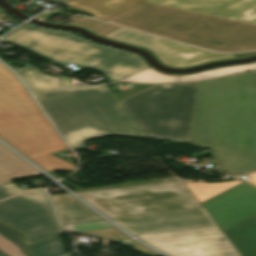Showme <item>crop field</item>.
<instances>
[{
    "instance_id": "crop-field-32",
    "label": "crop field",
    "mask_w": 256,
    "mask_h": 256,
    "mask_svg": "<svg viewBox=\"0 0 256 256\" xmlns=\"http://www.w3.org/2000/svg\"><path fill=\"white\" fill-rule=\"evenodd\" d=\"M0 12H2V11H0Z\"/></svg>"
},
{
    "instance_id": "crop-field-14",
    "label": "crop field",
    "mask_w": 256,
    "mask_h": 256,
    "mask_svg": "<svg viewBox=\"0 0 256 256\" xmlns=\"http://www.w3.org/2000/svg\"><path fill=\"white\" fill-rule=\"evenodd\" d=\"M42 175L28 163L0 144V184L26 176Z\"/></svg>"
},
{
    "instance_id": "crop-field-15",
    "label": "crop field",
    "mask_w": 256,
    "mask_h": 256,
    "mask_svg": "<svg viewBox=\"0 0 256 256\" xmlns=\"http://www.w3.org/2000/svg\"><path fill=\"white\" fill-rule=\"evenodd\" d=\"M224 233L242 256H256V221L253 217Z\"/></svg>"
},
{
    "instance_id": "crop-field-19",
    "label": "crop field",
    "mask_w": 256,
    "mask_h": 256,
    "mask_svg": "<svg viewBox=\"0 0 256 256\" xmlns=\"http://www.w3.org/2000/svg\"><path fill=\"white\" fill-rule=\"evenodd\" d=\"M199 202H203L243 181H230V182H218V183H194L189 181H184ZM185 184V185H186Z\"/></svg>"
},
{
    "instance_id": "crop-field-18",
    "label": "crop field",
    "mask_w": 256,
    "mask_h": 256,
    "mask_svg": "<svg viewBox=\"0 0 256 256\" xmlns=\"http://www.w3.org/2000/svg\"><path fill=\"white\" fill-rule=\"evenodd\" d=\"M16 72L22 77L25 84L33 94L41 93L48 89L60 87L56 77L41 74L37 68L27 65Z\"/></svg>"
},
{
    "instance_id": "crop-field-10",
    "label": "crop field",
    "mask_w": 256,
    "mask_h": 256,
    "mask_svg": "<svg viewBox=\"0 0 256 256\" xmlns=\"http://www.w3.org/2000/svg\"><path fill=\"white\" fill-rule=\"evenodd\" d=\"M103 37L145 48L155 54L164 65L171 67L183 68L219 59L236 58L233 54L207 52L122 27Z\"/></svg>"
},
{
    "instance_id": "crop-field-5",
    "label": "crop field",
    "mask_w": 256,
    "mask_h": 256,
    "mask_svg": "<svg viewBox=\"0 0 256 256\" xmlns=\"http://www.w3.org/2000/svg\"><path fill=\"white\" fill-rule=\"evenodd\" d=\"M0 138L47 172L76 168L48 154L67 147L16 76L1 62Z\"/></svg>"
},
{
    "instance_id": "crop-field-6",
    "label": "crop field",
    "mask_w": 256,
    "mask_h": 256,
    "mask_svg": "<svg viewBox=\"0 0 256 256\" xmlns=\"http://www.w3.org/2000/svg\"><path fill=\"white\" fill-rule=\"evenodd\" d=\"M4 39L64 66L71 63L101 71L109 83L150 68L134 53L101 46L69 32L31 24Z\"/></svg>"
},
{
    "instance_id": "crop-field-31",
    "label": "crop field",
    "mask_w": 256,
    "mask_h": 256,
    "mask_svg": "<svg viewBox=\"0 0 256 256\" xmlns=\"http://www.w3.org/2000/svg\"><path fill=\"white\" fill-rule=\"evenodd\" d=\"M68 256H71V255H68Z\"/></svg>"
},
{
    "instance_id": "crop-field-25",
    "label": "crop field",
    "mask_w": 256,
    "mask_h": 256,
    "mask_svg": "<svg viewBox=\"0 0 256 256\" xmlns=\"http://www.w3.org/2000/svg\"><path fill=\"white\" fill-rule=\"evenodd\" d=\"M122 244H124V245L133 244V245H135L137 247L132 248V249H134V250H136V251H138L140 253H143V254H145L147 256H160L156 252H154V251H152V250H150V249L140 245L139 243L135 242L134 240H131V241H128V242H125V243H122Z\"/></svg>"
},
{
    "instance_id": "crop-field-2",
    "label": "crop field",
    "mask_w": 256,
    "mask_h": 256,
    "mask_svg": "<svg viewBox=\"0 0 256 256\" xmlns=\"http://www.w3.org/2000/svg\"><path fill=\"white\" fill-rule=\"evenodd\" d=\"M188 143L213 149L218 170L256 171V71L198 82Z\"/></svg>"
},
{
    "instance_id": "crop-field-13",
    "label": "crop field",
    "mask_w": 256,
    "mask_h": 256,
    "mask_svg": "<svg viewBox=\"0 0 256 256\" xmlns=\"http://www.w3.org/2000/svg\"><path fill=\"white\" fill-rule=\"evenodd\" d=\"M51 198L62 224L102 219L69 194L54 195Z\"/></svg>"
},
{
    "instance_id": "crop-field-28",
    "label": "crop field",
    "mask_w": 256,
    "mask_h": 256,
    "mask_svg": "<svg viewBox=\"0 0 256 256\" xmlns=\"http://www.w3.org/2000/svg\"><path fill=\"white\" fill-rule=\"evenodd\" d=\"M249 176H250V178L247 181L256 185V173L250 174Z\"/></svg>"
},
{
    "instance_id": "crop-field-7",
    "label": "crop field",
    "mask_w": 256,
    "mask_h": 256,
    "mask_svg": "<svg viewBox=\"0 0 256 256\" xmlns=\"http://www.w3.org/2000/svg\"><path fill=\"white\" fill-rule=\"evenodd\" d=\"M196 85H155L121 102L149 138L187 142Z\"/></svg>"
},
{
    "instance_id": "crop-field-11",
    "label": "crop field",
    "mask_w": 256,
    "mask_h": 256,
    "mask_svg": "<svg viewBox=\"0 0 256 256\" xmlns=\"http://www.w3.org/2000/svg\"><path fill=\"white\" fill-rule=\"evenodd\" d=\"M202 205L223 231L256 215V187L243 182Z\"/></svg>"
},
{
    "instance_id": "crop-field-27",
    "label": "crop field",
    "mask_w": 256,
    "mask_h": 256,
    "mask_svg": "<svg viewBox=\"0 0 256 256\" xmlns=\"http://www.w3.org/2000/svg\"><path fill=\"white\" fill-rule=\"evenodd\" d=\"M256 52H248V53H243V54H234L237 58H240V57H247V56H252V55H255Z\"/></svg>"
},
{
    "instance_id": "crop-field-26",
    "label": "crop field",
    "mask_w": 256,
    "mask_h": 256,
    "mask_svg": "<svg viewBox=\"0 0 256 256\" xmlns=\"http://www.w3.org/2000/svg\"><path fill=\"white\" fill-rule=\"evenodd\" d=\"M60 77H61L62 84H63L64 87L71 86V84L69 82V79L67 77H64L62 75H60Z\"/></svg>"
},
{
    "instance_id": "crop-field-20",
    "label": "crop field",
    "mask_w": 256,
    "mask_h": 256,
    "mask_svg": "<svg viewBox=\"0 0 256 256\" xmlns=\"http://www.w3.org/2000/svg\"><path fill=\"white\" fill-rule=\"evenodd\" d=\"M256 68V63H250L245 65L238 66H229V67H219L215 69L206 70L199 73H194L191 75H180L178 76L179 81H189V80H201L210 77L222 76L242 70L254 69Z\"/></svg>"
},
{
    "instance_id": "crop-field-9",
    "label": "crop field",
    "mask_w": 256,
    "mask_h": 256,
    "mask_svg": "<svg viewBox=\"0 0 256 256\" xmlns=\"http://www.w3.org/2000/svg\"><path fill=\"white\" fill-rule=\"evenodd\" d=\"M0 221L25 234L26 245L64 233L42 190H33L0 202Z\"/></svg>"
},
{
    "instance_id": "crop-field-1",
    "label": "crop field",
    "mask_w": 256,
    "mask_h": 256,
    "mask_svg": "<svg viewBox=\"0 0 256 256\" xmlns=\"http://www.w3.org/2000/svg\"><path fill=\"white\" fill-rule=\"evenodd\" d=\"M106 22L213 51L256 50V0H146Z\"/></svg>"
},
{
    "instance_id": "crop-field-8",
    "label": "crop field",
    "mask_w": 256,
    "mask_h": 256,
    "mask_svg": "<svg viewBox=\"0 0 256 256\" xmlns=\"http://www.w3.org/2000/svg\"><path fill=\"white\" fill-rule=\"evenodd\" d=\"M76 194L110 218L203 207L180 180Z\"/></svg>"
},
{
    "instance_id": "crop-field-4",
    "label": "crop field",
    "mask_w": 256,
    "mask_h": 256,
    "mask_svg": "<svg viewBox=\"0 0 256 256\" xmlns=\"http://www.w3.org/2000/svg\"><path fill=\"white\" fill-rule=\"evenodd\" d=\"M111 220L171 256H241L204 207Z\"/></svg>"
},
{
    "instance_id": "crop-field-24",
    "label": "crop field",
    "mask_w": 256,
    "mask_h": 256,
    "mask_svg": "<svg viewBox=\"0 0 256 256\" xmlns=\"http://www.w3.org/2000/svg\"><path fill=\"white\" fill-rule=\"evenodd\" d=\"M26 190H29V189H26ZM22 191H25V190L19 189L17 186H15L12 183L2 185V186H0V199L14 195V194L22 192Z\"/></svg>"
},
{
    "instance_id": "crop-field-3",
    "label": "crop field",
    "mask_w": 256,
    "mask_h": 256,
    "mask_svg": "<svg viewBox=\"0 0 256 256\" xmlns=\"http://www.w3.org/2000/svg\"><path fill=\"white\" fill-rule=\"evenodd\" d=\"M37 99L73 150L100 136L147 137L108 85L51 90Z\"/></svg>"
},
{
    "instance_id": "crop-field-21",
    "label": "crop field",
    "mask_w": 256,
    "mask_h": 256,
    "mask_svg": "<svg viewBox=\"0 0 256 256\" xmlns=\"http://www.w3.org/2000/svg\"><path fill=\"white\" fill-rule=\"evenodd\" d=\"M28 248L35 256H62L65 255L60 236L53 237Z\"/></svg>"
},
{
    "instance_id": "crop-field-17",
    "label": "crop field",
    "mask_w": 256,
    "mask_h": 256,
    "mask_svg": "<svg viewBox=\"0 0 256 256\" xmlns=\"http://www.w3.org/2000/svg\"><path fill=\"white\" fill-rule=\"evenodd\" d=\"M23 241L21 233L0 223V256H32Z\"/></svg>"
},
{
    "instance_id": "crop-field-16",
    "label": "crop field",
    "mask_w": 256,
    "mask_h": 256,
    "mask_svg": "<svg viewBox=\"0 0 256 256\" xmlns=\"http://www.w3.org/2000/svg\"><path fill=\"white\" fill-rule=\"evenodd\" d=\"M64 227L67 230L82 231L104 240H115L119 242L130 238L105 220L67 224Z\"/></svg>"
},
{
    "instance_id": "crop-field-23",
    "label": "crop field",
    "mask_w": 256,
    "mask_h": 256,
    "mask_svg": "<svg viewBox=\"0 0 256 256\" xmlns=\"http://www.w3.org/2000/svg\"><path fill=\"white\" fill-rule=\"evenodd\" d=\"M70 24L78 25L85 27L91 31H93L95 34H98L100 36L118 28L119 26H115L112 24H108L105 22L97 21L94 19H90L87 17H79L75 19L74 21L70 22Z\"/></svg>"
},
{
    "instance_id": "crop-field-12",
    "label": "crop field",
    "mask_w": 256,
    "mask_h": 256,
    "mask_svg": "<svg viewBox=\"0 0 256 256\" xmlns=\"http://www.w3.org/2000/svg\"><path fill=\"white\" fill-rule=\"evenodd\" d=\"M142 1L144 0H66L63 3L89 12L93 14L91 17L104 21Z\"/></svg>"
},
{
    "instance_id": "crop-field-30",
    "label": "crop field",
    "mask_w": 256,
    "mask_h": 256,
    "mask_svg": "<svg viewBox=\"0 0 256 256\" xmlns=\"http://www.w3.org/2000/svg\"><path fill=\"white\" fill-rule=\"evenodd\" d=\"M255 220H256V216H254Z\"/></svg>"
},
{
    "instance_id": "crop-field-22",
    "label": "crop field",
    "mask_w": 256,
    "mask_h": 256,
    "mask_svg": "<svg viewBox=\"0 0 256 256\" xmlns=\"http://www.w3.org/2000/svg\"><path fill=\"white\" fill-rule=\"evenodd\" d=\"M170 81H178L177 75H169L159 73L153 69H148L144 72L136 74L134 76L128 77L126 79L120 80L118 82H170Z\"/></svg>"
},
{
    "instance_id": "crop-field-29",
    "label": "crop field",
    "mask_w": 256,
    "mask_h": 256,
    "mask_svg": "<svg viewBox=\"0 0 256 256\" xmlns=\"http://www.w3.org/2000/svg\"><path fill=\"white\" fill-rule=\"evenodd\" d=\"M52 1L56 2V1H58V0H52Z\"/></svg>"
}]
</instances>
